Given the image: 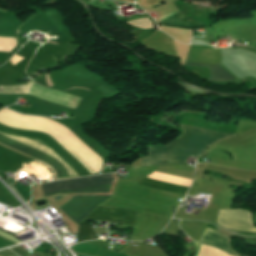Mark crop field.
Returning <instances> with one entry per match:
<instances>
[{
    "label": "crop field",
    "instance_id": "5a996713",
    "mask_svg": "<svg viewBox=\"0 0 256 256\" xmlns=\"http://www.w3.org/2000/svg\"><path fill=\"white\" fill-rule=\"evenodd\" d=\"M128 24L138 27V28H152L153 24L149 21V19L146 17L144 19L141 20H137V21H131V22H127Z\"/></svg>",
    "mask_w": 256,
    "mask_h": 256
},
{
    "label": "crop field",
    "instance_id": "f4fd0767",
    "mask_svg": "<svg viewBox=\"0 0 256 256\" xmlns=\"http://www.w3.org/2000/svg\"><path fill=\"white\" fill-rule=\"evenodd\" d=\"M138 214V212L116 209L111 207H96L81 222L104 220L133 225Z\"/></svg>",
    "mask_w": 256,
    "mask_h": 256
},
{
    "label": "crop field",
    "instance_id": "8a807250",
    "mask_svg": "<svg viewBox=\"0 0 256 256\" xmlns=\"http://www.w3.org/2000/svg\"><path fill=\"white\" fill-rule=\"evenodd\" d=\"M183 135L166 146H149V156L142 157L141 165L185 163L187 154L198 156L210 144L235 134L215 132L199 127L180 124Z\"/></svg>",
    "mask_w": 256,
    "mask_h": 256
},
{
    "label": "crop field",
    "instance_id": "e52e79f7",
    "mask_svg": "<svg viewBox=\"0 0 256 256\" xmlns=\"http://www.w3.org/2000/svg\"><path fill=\"white\" fill-rule=\"evenodd\" d=\"M138 184L169 191V192H174L182 195H185L186 191L188 190L187 187H182V186H177V185H172V184H167V183H162V182H157V181H152L147 179L142 180Z\"/></svg>",
    "mask_w": 256,
    "mask_h": 256
},
{
    "label": "crop field",
    "instance_id": "dd49c442",
    "mask_svg": "<svg viewBox=\"0 0 256 256\" xmlns=\"http://www.w3.org/2000/svg\"><path fill=\"white\" fill-rule=\"evenodd\" d=\"M229 240L230 238L220 236L219 234L215 233L212 229L207 228L206 231L203 233L202 237L200 238L199 242L237 256L238 254L230 246Z\"/></svg>",
    "mask_w": 256,
    "mask_h": 256
},
{
    "label": "crop field",
    "instance_id": "d8731c3e",
    "mask_svg": "<svg viewBox=\"0 0 256 256\" xmlns=\"http://www.w3.org/2000/svg\"><path fill=\"white\" fill-rule=\"evenodd\" d=\"M96 238L97 236L88 224V222L79 224L78 237L76 243Z\"/></svg>",
    "mask_w": 256,
    "mask_h": 256
},
{
    "label": "crop field",
    "instance_id": "34b2d1b8",
    "mask_svg": "<svg viewBox=\"0 0 256 256\" xmlns=\"http://www.w3.org/2000/svg\"><path fill=\"white\" fill-rule=\"evenodd\" d=\"M192 73H203L206 79L216 84L234 83L236 79L222 66V63L187 60L185 69Z\"/></svg>",
    "mask_w": 256,
    "mask_h": 256
},
{
    "label": "crop field",
    "instance_id": "ac0d7876",
    "mask_svg": "<svg viewBox=\"0 0 256 256\" xmlns=\"http://www.w3.org/2000/svg\"><path fill=\"white\" fill-rule=\"evenodd\" d=\"M113 174L87 178L71 179L41 184L49 193L109 186L112 185Z\"/></svg>",
    "mask_w": 256,
    "mask_h": 256
},
{
    "label": "crop field",
    "instance_id": "412701ff",
    "mask_svg": "<svg viewBox=\"0 0 256 256\" xmlns=\"http://www.w3.org/2000/svg\"><path fill=\"white\" fill-rule=\"evenodd\" d=\"M217 224L231 231L255 230L250 221V213L242 209L219 210Z\"/></svg>",
    "mask_w": 256,
    "mask_h": 256
}]
</instances>
